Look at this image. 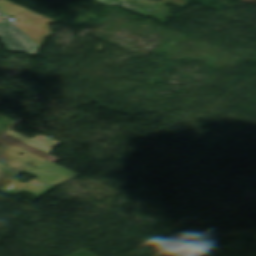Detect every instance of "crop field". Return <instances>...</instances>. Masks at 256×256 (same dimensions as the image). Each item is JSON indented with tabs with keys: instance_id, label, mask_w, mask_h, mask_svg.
I'll use <instances>...</instances> for the list:
<instances>
[{
	"instance_id": "1",
	"label": "crop field",
	"mask_w": 256,
	"mask_h": 256,
	"mask_svg": "<svg viewBox=\"0 0 256 256\" xmlns=\"http://www.w3.org/2000/svg\"><path fill=\"white\" fill-rule=\"evenodd\" d=\"M15 151L24 155L19 156ZM0 161L56 187L79 175L0 139ZM29 162L33 163L32 165ZM33 166L39 168L38 170Z\"/></svg>"
},
{
	"instance_id": "2",
	"label": "crop field",
	"mask_w": 256,
	"mask_h": 256,
	"mask_svg": "<svg viewBox=\"0 0 256 256\" xmlns=\"http://www.w3.org/2000/svg\"><path fill=\"white\" fill-rule=\"evenodd\" d=\"M14 145H17L29 152H32L46 160L56 162L60 159L53 157L49 155L48 149L57 146L59 144H62L60 142H57L55 140H52L50 138H47L43 135L36 136L32 139H29L25 136H22L18 133H15L11 130H9L7 133H5L2 137H0Z\"/></svg>"
},
{
	"instance_id": "3",
	"label": "crop field",
	"mask_w": 256,
	"mask_h": 256,
	"mask_svg": "<svg viewBox=\"0 0 256 256\" xmlns=\"http://www.w3.org/2000/svg\"><path fill=\"white\" fill-rule=\"evenodd\" d=\"M0 36L8 51L25 52L31 55L38 52V49L14 22H0Z\"/></svg>"
},
{
	"instance_id": "4",
	"label": "crop field",
	"mask_w": 256,
	"mask_h": 256,
	"mask_svg": "<svg viewBox=\"0 0 256 256\" xmlns=\"http://www.w3.org/2000/svg\"><path fill=\"white\" fill-rule=\"evenodd\" d=\"M53 188L54 187L34 178L26 184L13 180L7 185H5L4 187H2L0 190L9 195L16 190L29 192L36 195L37 196L36 199H38L39 197L49 192Z\"/></svg>"
},
{
	"instance_id": "5",
	"label": "crop field",
	"mask_w": 256,
	"mask_h": 256,
	"mask_svg": "<svg viewBox=\"0 0 256 256\" xmlns=\"http://www.w3.org/2000/svg\"><path fill=\"white\" fill-rule=\"evenodd\" d=\"M21 173L22 172L0 162V188Z\"/></svg>"
},
{
	"instance_id": "6",
	"label": "crop field",
	"mask_w": 256,
	"mask_h": 256,
	"mask_svg": "<svg viewBox=\"0 0 256 256\" xmlns=\"http://www.w3.org/2000/svg\"><path fill=\"white\" fill-rule=\"evenodd\" d=\"M189 2L190 1H187V0H163L161 2L152 1V3L162 6V7H165L163 5L166 3H173L181 8H183ZM165 8L169 9L168 7H165Z\"/></svg>"
},
{
	"instance_id": "7",
	"label": "crop field",
	"mask_w": 256,
	"mask_h": 256,
	"mask_svg": "<svg viewBox=\"0 0 256 256\" xmlns=\"http://www.w3.org/2000/svg\"><path fill=\"white\" fill-rule=\"evenodd\" d=\"M16 122L9 120L7 118H4L2 116H0V131L2 134L4 131H6L9 127H11L12 125H14Z\"/></svg>"
},
{
	"instance_id": "8",
	"label": "crop field",
	"mask_w": 256,
	"mask_h": 256,
	"mask_svg": "<svg viewBox=\"0 0 256 256\" xmlns=\"http://www.w3.org/2000/svg\"><path fill=\"white\" fill-rule=\"evenodd\" d=\"M96 1H99V2L107 4V5H120V6H123V7H125V6L130 4V3H127V2H125L123 0H106L108 2H104L102 0H96ZM119 2H123V4H119Z\"/></svg>"
},
{
	"instance_id": "9",
	"label": "crop field",
	"mask_w": 256,
	"mask_h": 256,
	"mask_svg": "<svg viewBox=\"0 0 256 256\" xmlns=\"http://www.w3.org/2000/svg\"><path fill=\"white\" fill-rule=\"evenodd\" d=\"M125 8H126V9H128V10L134 11V12H136V13H139V14L145 15V16L150 15V14H148V13L144 12V10H143V9L138 8V7H136V6L132 5V4H131V5H129V6H127V7H125Z\"/></svg>"
}]
</instances>
